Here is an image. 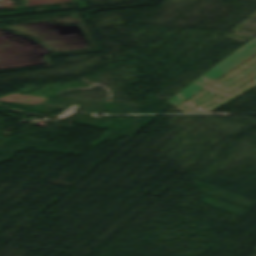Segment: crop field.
I'll return each instance as SVG.
<instances>
[{"instance_id":"obj_1","label":"crop field","mask_w":256,"mask_h":256,"mask_svg":"<svg viewBox=\"0 0 256 256\" xmlns=\"http://www.w3.org/2000/svg\"><path fill=\"white\" fill-rule=\"evenodd\" d=\"M255 86L256 56L176 108L186 113H210Z\"/></svg>"},{"instance_id":"obj_2","label":"crop field","mask_w":256,"mask_h":256,"mask_svg":"<svg viewBox=\"0 0 256 256\" xmlns=\"http://www.w3.org/2000/svg\"><path fill=\"white\" fill-rule=\"evenodd\" d=\"M256 55V48H241L230 57L225 59L223 62L215 66L213 69L208 71L206 74L201 76L199 79L194 81L192 84L187 86L185 89L177 93L175 96L170 98L168 103L173 106H178L188 98L192 97L220 77L224 76L252 56Z\"/></svg>"},{"instance_id":"obj_3","label":"crop field","mask_w":256,"mask_h":256,"mask_svg":"<svg viewBox=\"0 0 256 256\" xmlns=\"http://www.w3.org/2000/svg\"><path fill=\"white\" fill-rule=\"evenodd\" d=\"M243 47H256V37Z\"/></svg>"},{"instance_id":"obj_4","label":"crop field","mask_w":256,"mask_h":256,"mask_svg":"<svg viewBox=\"0 0 256 256\" xmlns=\"http://www.w3.org/2000/svg\"><path fill=\"white\" fill-rule=\"evenodd\" d=\"M256 249V248H255Z\"/></svg>"}]
</instances>
